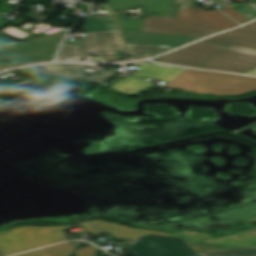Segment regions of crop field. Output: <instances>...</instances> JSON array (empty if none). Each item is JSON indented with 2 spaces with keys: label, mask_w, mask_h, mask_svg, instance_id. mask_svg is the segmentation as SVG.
<instances>
[{
  "label": "crop field",
  "mask_w": 256,
  "mask_h": 256,
  "mask_svg": "<svg viewBox=\"0 0 256 256\" xmlns=\"http://www.w3.org/2000/svg\"><path fill=\"white\" fill-rule=\"evenodd\" d=\"M150 86H152V83L142 78L130 76L117 82L111 88L129 95H139Z\"/></svg>",
  "instance_id": "obj_17"
},
{
  "label": "crop field",
  "mask_w": 256,
  "mask_h": 256,
  "mask_svg": "<svg viewBox=\"0 0 256 256\" xmlns=\"http://www.w3.org/2000/svg\"><path fill=\"white\" fill-rule=\"evenodd\" d=\"M219 9L222 10L224 13H226L228 16L234 18L235 20H237L239 22L246 20L244 17H242L240 14H238L237 12H235L228 6L221 7Z\"/></svg>",
  "instance_id": "obj_23"
},
{
  "label": "crop field",
  "mask_w": 256,
  "mask_h": 256,
  "mask_svg": "<svg viewBox=\"0 0 256 256\" xmlns=\"http://www.w3.org/2000/svg\"><path fill=\"white\" fill-rule=\"evenodd\" d=\"M236 235L248 238L250 240L256 241V229H254L251 232H247V233H238Z\"/></svg>",
  "instance_id": "obj_24"
},
{
  "label": "crop field",
  "mask_w": 256,
  "mask_h": 256,
  "mask_svg": "<svg viewBox=\"0 0 256 256\" xmlns=\"http://www.w3.org/2000/svg\"><path fill=\"white\" fill-rule=\"evenodd\" d=\"M251 2H253L256 5V0H250Z\"/></svg>",
  "instance_id": "obj_28"
},
{
  "label": "crop field",
  "mask_w": 256,
  "mask_h": 256,
  "mask_svg": "<svg viewBox=\"0 0 256 256\" xmlns=\"http://www.w3.org/2000/svg\"><path fill=\"white\" fill-rule=\"evenodd\" d=\"M201 256H256V246L234 250L200 254Z\"/></svg>",
  "instance_id": "obj_19"
},
{
  "label": "crop field",
  "mask_w": 256,
  "mask_h": 256,
  "mask_svg": "<svg viewBox=\"0 0 256 256\" xmlns=\"http://www.w3.org/2000/svg\"><path fill=\"white\" fill-rule=\"evenodd\" d=\"M67 227L23 226L0 232V252L3 256L66 241Z\"/></svg>",
  "instance_id": "obj_4"
},
{
  "label": "crop field",
  "mask_w": 256,
  "mask_h": 256,
  "mask_svg": "<svg viewBox=\"0 0 256 256\" xmlns=\"http://www.w3.org/2000/svg\"><path fill=\"white\" fill-rule=\"evenodd\" d=\"M137 243L125 246L133 256H198L183 239L147 235L134 239Z\"/></svg>",
  "instance_id": "obj_7"
},
{
  "label": "crop field",
  "mask_w": 256,
  "mask_h": 256,
  "mask_svg": "<svg viewBox=\"0 0 256 256\" xmlns=\"http://www.w3.org/2000/svg\"><path fill=\"white\" fill-rule=\"evenodd\" d=\"M254 23H256V22H254Z\"/></svg>",
  "instance_id": "obj_32"
},
{
  "label": "crop field",
  "mask_w": 256,
  "mask_h": 256,
  "mask_svg": "<svg viewBox=\"0 0 256 256\" xmlns=\"http://www.w3.org/2000/svg\"><path fill=\"white\" fill-rule=\"evenodd\" d=\"M75 250L76 248L71 243H63L31 251L18 256H69ZM76 254L77 256H96V250L93 247H89L77 250Z\"/></svg>",
  "instance_id": "obj_14"
},
{
  "label": "crop field",
  "mask_w": 256,
  "mask_h": 256,
  "mask_svg": "<svg viewBox=\"0 0 256 256\" xmlns=\"http://www.w3.org/2000/svg\"><path fill=\"white\" fill-rule=\"evenodd\" d=\"M116 19L122 30L141 31L142 20L127 19L126 15H116Z\"/></svg>",
  "instance_id": "obj_20"
},
{
  "label": "crop field",
  "mask_w": 256,
  "mask_h": 256,
  "mask_svg": "<svg viewBox=\"0 0 256 256\" xmlns=\"http://www.w3.org/2000/svg\"><path fill=\"white\" fill-rule=\"evenodd\" d=\"M245 73H246V72H245ZM246 74L256 75V69H254V70H252V71H250V72H248V73H246Z\"/></svg>",
  "instance_id": "obj_27"
},
{
  "label": "crop field",
  "mask_w": 256,
  "mask_h": 256,
  "mask_svg": "<svg viewBox=\"0 0 256 256\" xmlns=\"http://www.w3.org/2000/svg\"><path fill=\"white\" fill-rule=\"evenodd\" d=\"M107 14L104 18L88 16L83 26L85 32L119 30L113 18V11L109 4L102 5Z\"/></svg>",
  "instance_id": "obj_16"
},
{
  "label": "crop field",
  "mask_w": 256,
  "mask_h": 256,
  "mask_svg": "<svg viewBox=\"0 0 256 256\" xmlns=\"http://www.w3.org/2000/svg\"><path fill=\"white\" fill-rule=\"evenodd\" d=\"M127 46L134 59L143 57V56H147V57L155 56L173 49L168 47H151V46H135V45H127Z\"/></svg>",
  "instance_id": "obj_18"
},
{
  "label": "crop field",
  "mask_w": 256,
  "mask_h": 256,
  "mask_svg": "<svg viewBox=\"0 0 256 256\" xmlns=\"http://www.w3.org/2000/svg\"><path fill=\"white\" fill-rule=\"evenodd\" d=\"M157 62L174 65L245 73L256 68V50L197 42L167 54Z\"/></svg>",
  "instance_id": "obj_1"
},
{
  "label": "crop field",
  "mask_w": 256,
  "mask_h": 256,
  "mask_svg": "<svg viewBox=\"0 0 256 256\" xmlns=\"http://www.w3.org/2000/svg\"><path fill=\"white\" fill-rule=\"evenodd\" d=\"M126 44L178 47L218 32L176 17L143 18L142 32L122 31Z\"/></svg>",
  "instance_id": "obj_2"
},
{
  "label": "crop field",
  "mask_w": 256,
  "mask_h": 256,
  "mask_svg": "<svg viewBox=\"0 0 256 256\" xmlns=\"http://www.w3.org/2000/svg\"><path fill=\"white\" fill-rule=\"evenodd\" d=\"M166 0H110L109 4L114 13L119 10H126L135 6L146 7ZM149 17L176 16L175 2L162 4L148 8Z\"/></svg>",
  "instance_id": "obj_12"
},
{
  "label": "crop field",
  "mask_w": 256,
  "mask_h": 256,
  "mask_svg": "<svg viewBox=\"0 0 256 256\" xmlns=\"http://www.w3.org/2000/svg\"><path fill=\"white\" fill-rule=\"evenodd\" d=\"M204 41L256 49V24L252 23Z\"/></svg>",
  "instance_id": "obj_10"
},
{
  "label": "crop field",
  "mask_w": 256,
  "mask_h": 256,
  "mask_svg": "<svg viewBox=\"0 0 256 256\" xmlns=\"http://www.w3.org/2000/svg\"><path fill=\"white\" fill-rule=\"evenodd\" d=\"M11 44H15V43L13 41H11L10 39H8L7 37L0 34V47H4L7 45H11Z\"/></svg>",
  "instance_id": "obj_25"
},
{
  "label": "crop field",
  "mask_w": 256,
  "mask_h": 256,
  "mask_svg": "<svg viewBox=\"0 0 256 256\" xmlns=\"http://www.w3.org/2000/svg\"><path fill=\"white\" fill-rule=\"evenodd\" d=\"M105 50H126L119 31L87 33L81 47L62 45L57 60L72 56L81 61L92 54L99 56V62H105Z\"/></svg>",
  "instance_id": "obj_6"
},
{
  "label": "crop field",
  "mask_w": 256,
  "mask_h": 256,
  "mask_svg": "<svg viewBox=\"0 0 256 256\" xmlns=\"http://www.w3.org/2000/svg\"><path fill=\"white\" fill-rule=\"evenodd\" d=\"M0 256H2V254L0 253Z\"/></svg>",
  "instance_id": "obj_31"
},
{
  "label": "crop field",
  "mask_w": 256,
  "mask_h": 256,
  "mask_svg": "<svg viewBox=\"0 0 256 256\" xmlns=\"http://www.w3.org/2000/svg\"><path fill=\"white\" fill-rule=\"evenodd\" d=\"M85 67L83 64H53L40 66L43 75H56L66 79H82L92 80L103 84L111 77L115 76V69L105 73H88L82 70Z\"/></svg>",
  "instance_id": "obj_9"
},
{
  "label": "crop field",
  "mask_w": 256,
  "mask_h": 256,
  "mask_svg": "<svg viewBox=\"0 0 256 256\" xmlns=\"http://www.w3.org/2000/svg\"><path fill=\"white\" fill-rule=\"evenodd\" d=\"M178 20L223 30L238 25L219 10L206 11L197 6L177 13Z\"/></svg>",
  "instance_id": "obj_8"
},
{
  "label": "crop field",
  "mask_w": 256,
  "mask_h": 256,
  "mask_svg": "<svg viewBox=\"0 0 256 256\" xmlns=\"http://www.w3.org/2000/svg\"><path fill=\"white\" fill-rule=\"evenodd\" d=\"M138 66H140L141 69L136 71L133 75L157 78L166 81L172 80L175 76L184 70L183 68L155 63L138 64Z\"/></svg>",
  "instance_id": "obj_15"
},
{
  "label": "crop field",
  "mask_w": 256,
  "mask_h": 256,
  "mask_svg": "<svg viewBox=\"0 0 256 256\" xmlns=\"http://www.w3.org/2000/svg\"><path fill=\"white\" fill-rule=\"evenodd\" d=\"M217 1L221 0H214V2ZM197 5V0H176L177 12Z\"/></svg>",
  "instance_id": "obj_22"
},
{
  "label": "crop field",
  "mask_w": 256,
  "mask_h": 256,
  "mask_svg": "<svg viewBox=\"0 0 256 256\" xmlns=\"http://www.w3.org/2000/svg\"><path fill=\"white\" fill-rule=\"evenodd\" d=\"M256 242L250 241L248 239L231 235L216 240L208 241L198 245L190 246V248L196 253H207L213 251L234 249L240 247L254 246Z\"/></svg>",
  "instance_id": "obj_13"
},
{
  "label": "crop field",
  "mask_w": 256,
  "mask_h": 256,
  "mask_svg": "<svg viewBox=\"0 0 256 256\" xmlns=\"http://www.w3.org/2000/svg\"><path fill=\"white\" fill-rule=\"evenodd\" d=\"M83 228L86 229L89 233H99V232H108L114 238H135L147 234H156V235H164L168 236L170 234L152 231V230H145V229H130L124 226L109 224L103 221H94L88 223H81Z\"/></svg>",
  "instance_id": "obj_11"
},
{
  "label": "crop field",
  "mask_w": 256,
  "mask_h": 256,
  "mask_svg": "<svg viewBox=\"0 0 256 256\" xmlns=\"http://www.w3.org/2000/svg\"><path fill=\"white\" fill-rule=\"evenodd\" d=\"M167 86L184 89L185 93L242 94L256 90V78L187 69Z\"/></svg>",
  "instance_id": "obj_3"
},
{
  "label": "crop field",
  "mask_w": 256,
  "mask_h": 256,
  "mask_svg": "<svg viewBox=\"0 0 256 256\" xmlns=\"http://www.w3.org/2000/svg\"><path fill=\"white\" fill-rule=\"evenodd\" d=\"M65 33L35 38L24 43L0 48V56L15 65L52 60V56Z\"/></svg>",
  "instance_id": "obj_5"
},
{
  "label": "crop field",
  "mask_w": 256,
  "mask_h": 256,
  "mask_svg": "<svg viewBox=\"0 0 256 256\" xmlns=\"http://www.w3.org/2000/svg\"><path fill=\"white\" fill-rule=\"evenodd\" d=\"M0 69H2V67L0 66Z\"/></svg>",
  "instance_id": "obj_30"
},
{
  "label": "crop field",
  "mask_w": 256,
  "mask_h": 256,
  "mask_svg": "<svg viewBox=\"0 0 256 256\" xmlns=\"http://www.w3.org/2000/svg\"><path fill=\"white\" fill-rule=\"evenodd\" d=\"M253 219H256V218H253ZM253 219H250V220H253Z\"/></svg>",
  "instance_id": "obj_29"
},
{
  "label": "crop field",
  "mask_w": 256,
  "mask_h": 256,
  "mask_svg": "<svg viewBox=\"0 0 256 256\" xmlns=\"http://www.w3.org/2000/svg\"><path fill=\"white\" fill-rule=\"evenodd\" d=\"M228 6L243 15L248 20L256 18V8L251 4L240 3L235 5L233 3H229Z\"/></svg>",
  "instance_id": "obj_21"
},
{
  "label": "crop field",
  "mask_w": 256,
  "mask_h": 256,
  "mask_svg": "<svg viewBox=\"0 0 256 256\" xmlns=\"http://www.w3.org/2000/svg\"><path fill=\"white\" fill-rule=\"evenodd\" d=\"M0 65L4 68H7V67H12V65H10L9 63H7L6 61L2 60L0 58Z\"/></svg>",
  "instance_id": "obj_26"
}]
</instances>
